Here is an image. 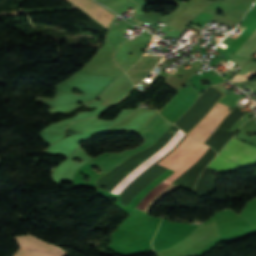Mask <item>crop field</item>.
<instances>
[{"label": "crop field", "instance_id": "11", "mask_svg": "<svg viewBox=\"0 0 256 256\" xmlns=\"http://www.w3.org/2000/svg\"><path fill=\"white\" fill-rule=\"evenodd\" d=\"M209 167H211L215 170H218V171L226 172V171H231V170L237 169L239 167V165L218 155L211 162Z\"/></svg>", "mask_w": 256, "mask_h": 256}, {"label": "crop field", "instance_id": "9", "mask_svg": "<svg viewBox=\"0 0 256 256\" xmlns=\"http://www.w3.org/2000/svg\"><path fill=\"white\" fill-rule=\"evenodd\" d=\"M162 57L159 56H151L148 57H142L128 72L127 74L132 79V81L135 83H139L143 78L148 76L152 69L155 67V65L158 63V61Z\"/></svg>", "mask_w": 256, "mask_h": 256}, {"label": "crop field", "instance_id": "7", "mask_svg": "<svg viewBox=\"0 0 256 256\" xmlns=\"http://www.w3.org/2000/svg\"><path fill=\"white\" fill-rule=\"evenodd\" d=\"M186 134L181 132L180 130L177 134L170 140V142L154 154L151 158L145 161L142 165H140L136 170H134L130 175H128L125 179H123L119 184H117L110 191L119 194L126 186H128L136 177L142 174L145 170H147L150 166H152L155 162L169 153L176 145L184 138Z\"/></svg>", "mask_w": 256, "mask_h": 256}, {"label": "crop field", "instance_id": "5", "mask_svg": "<svg viewBox=\"0 0 256 256\" xmlns=\"http://www.w3.org/2000/svg\"><path fill=\"white\" fill-rule=\"evenodd\" d=\"M219 154L239 163L241 168L256 165V147L235 138L230 140Z\"/></svg>", "mask_w": 256, "mask_h": 256}, {"label": "crop field", "instance_id": "10", "mask_svg": "<svg viewBox=\"0 0 256 256\" xmlns=\"http://www.w3.org/2000/svg\"><path fill=\"white\" fill-rule=\"evenodd\" d=\"M256 52V31L254 34L237 50L231 61L244 65L246 61Z\"/></svg>", "mask_w": 256, "mask_h": 256}, {"label": "crop field", "instance_id": "4", "mask_svg": "<svg viewBox=\"0 0 256 256\" xmlns=\"http://www.w3.org/2000/svg\"><path fill=\"white\" fill-rule=\"evenodd\" d=\"M196 98V91L192 87L182 88L160 113L174 123L192 105Z\"/></svg>", "mask_w": 256, "mask_h": 256}, {"label": "crop field", "instance_id": "6", "mask_svg": "<svg viewBox=\"0 0 256 256\" xmlns=\"http://www.w3.org/2000/svg\"><path fill=\"white\" fill-rule=\"evenodd\" d=\"M21 247L14 256H65L67 253L29 235L16 237Z\"/></svg>", "mask_w": 256, "mask_h": 256}, {"label": "crop field", "instance_id": "2", "mask_svg": "<svg viewBox=\"0 0 256 256\" xmlns=\"http://www.w3.org/2000/svg\"><path fill=\"white\" fill-rule=\"evenodd\" d=\"M171 125L173 124L161 117L158 113L154 120L138 133L144 139V142L141 146L122 152L104 153L99 157L85 163L84 165L93 170L92 167H96V164L107 173L111 169L126 161L128 157L149 147L158 138H160ZM93 171L95 172V170Z\"/></svg>", "mask_w": 256, "mask_h": 256}, {"label": "crop field", "instance_id": "3", "mask_svg": "<svg viewBox=\"0 0 256 256\" xmlns=\"http://www.w3.org/2000/svg\"><path fill=\"white\" fill-rule=\"evenodd\" d=\"M228 108V106L217 102L209 114L192 129L189 135L204 143L230 112L227 110Z\"/></svg>", "mask_w": 256, "mask_h": 256}, {"label": "crop field", "instance_id": "1", "mask_svg": "<svg viewBox=\"0 0 256 256\" xmlns=\"http://www.w3.org/2000/svg\"><path fill=\"white\" fill-rule=\"evenodd\" d=\"M208 149V147L194 141L187 136L184 141L166 158L160 161L158 164L170 168L174 171L171 176L166 180L173 181L183 172H185L191 165H193ZM162 181L155 188H153L138 204L137 208L149 212L154 206L157 199L164 197L174 190L180 188L168 181Z\"/></svg>", "mask_w": 256, "mask_h": 256}, {"label": "crop field", "instance_id": "8", "mask_svg": "<svg viewBox=\"0 0 256 256\" xmlns=\"http://www.w3.org/2000/svg\"><path fill=\"white\" fill-rule=\"evenodd\" d=\"M69 2L74 3L79 8H81L84 12L90 15L97 22L102 24L104 27H107L109 22L111 21L113 15L103 8L97 6L90 0H67ZM114 18V17H113Z\"/></svg>", "mask_w": 256, "mask_h": 256}]
</instances>
